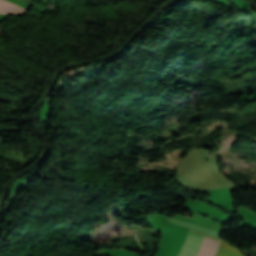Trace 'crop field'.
I'll return each instance as SVG.
<instances>
[{
    "instance_id": "crop-field-1",
    "label": "crop field",
    "mask_w": 256,
    "mask_h": 256,
    "mask_svg": "<svg viewBox=\"0 0 256 256\" xmlns=\"http://www.w3.org/2000/svg\"><path fill=\"white\" fill-rule=\"evenodd\" d=\"M208 240V238L189 232L186 242L181 252L177 256H202L205 251ZM218 243V241L210 239L203 256H213Z\"/></svg>"
},
{
    "instance_id": "crop-field-2",
    "label": "crop field",
    "mask_w": 256,
    "mask_h": 256,
    "mask_svg": "<svg viewBox=\"0 0 256 256\" xmlns=\"http://www.w3.org/2000/svg\"><path fill=\"white\" fill-rule=\"evenodd\" d=\"M25 9V8H24ZM5 0H0V14L19 15L25 10Z\"/></svg>"
},
{
    "instance_id": "crop-field-3",
    "label": "crop field",
    "mask_w": 256,
    "mask_h": 256,
    "mask_svg": "<svg viewBox=\"0 0 256 256\" xmlns=\"http://www.w3.org/2000/svg\"><path fill=\"white\" fill-rule=\"evenodd\" d=\"M215 256H243L235 247L222 241Z\"/></svg>"
}]
</instances>
